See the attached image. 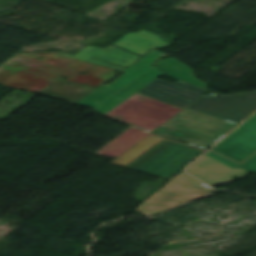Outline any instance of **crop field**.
<instances>
[{"label": "crop field", "instance_id": "10", "mask_svg": "<svg viewBox=\"0 0 256 256\" xmlns=\"http://www.w3.org/2000/svg\"><path fill=\"white\" fill-rule=\"evenodd\" d=\"M164 137H160L157 135H150L143 139L142 141L135 144L129 150H127L124 154H122L119 158H117L112 164H116L119 166L125 167L132 160L140 156L142 153L153 147L159 141H161Z\"/></svg>", "mask_w": 256, "mask_h": 256}, {"label": "crop field", "instance_id": "2", "mask_svg": "<svg viewBox=\"0 0 256 256\" xmlns=\"http://www.w3.org/2000/svg\"><path fill=\"white\" fill-rule=\"evenodd\" d=\"M164 55L152 50L138 62L126 68L125 74L117 78L109 85H103L84 99L79 104L96 108L95 111L105 115L142 88L157 79L163 73L157 70L151 63Z\"/></svg>", "mask_w": 256, "mask_h": 256}, {"label": "crop field", "instance_id": "1", "mask_svg": "<svg viewBox=\"0 0 256 256\" xmlns=\"http://www.w3.org/2000/svg\"><path fill=\"white\" fill-rule=\"evenodd\" d=\"M113 45L140 56L152 49L170 46L160 35L144 30L126 33ZM116 46L103 49L89 46L75 55L65 52L17 54L0 66V85L41 94L63 79L59 76H66L67 81L97 88L140 58Z\"/></svg>", "mask_w": 256, "mask_h": 256}, {"label": "crop field", "instance_id": "3", "mask_svg": "<svg viewBox=\"0 0 256 256\" xmlns=\"http://www.w3.org/2000/svg\"><path fill=\"white\" fill-rule=\"evenodd\" d=\"M237 125L185 109L154 134L208 150Z\"/></svg>", "mask_w": 256, "mask_h": 256}, {"label": "crop field", "instance_id": "12", "mask_svg": "<svg viewBox=\"0 0 256 256\" xmlns=\"http://www.w3.org/2000/svg\"><path fill=\"white\" fill-rule=\"evenodd\" d=\"M238 169L254 172L256 170V155H254L251 159H249L246 163H244Z\"/></svg>", "mask_w": 256, "mask_h": 256}, {"label": "crop field", "instance_id": "11", "mask_svg": "<svg viewBox=\"0 0 256 256\" xmlns=\"http://www.w3.org/2000/svg\"><path fill=\"white\" fill-rule=\"evenodd\" d=\"M205 155H207V156H209V157H211V158H213V159H215V160H217V161H219V162H221V163H223V164H225V165H227V166H229L233 169H235L238 166V164H236V163H234V162H232V161H230L226 158H223V157H221V156H219V155H217V154H215L211 151H209Z\"/></svg>", "mask_w": 256, "mask_h": 256}, {"label": "crop field", "instance_id": "13", "mask_svg": "<svg viewBox=\"0 0 256 256\" xmlns=\"http://www.w3.org/2000/svg\"><path fill=\"white\" fill-rule=\"evenodd\" d=\"M42 1H45V2H47V1H49V0H42Z\"/></svg>", "mask_w": 256, "mask_h": 256}, {"label": "crop field", "instance_id": "7", "mask_svg": "<svg viewBox=\"0 0 256 256\" xmlns=\"http://www.w3.org/2000/svg\"><path fill=\"white\" fill-rule=\"evenodd\" d=\"M206 92L207 90L200 89L181 81L172 84L157 79L139 93L151 96L184 109Z\"/></svg>", "mask_w": 256, "mask_h": 256}, {"label": "crop field", "instance_id": "6", "mask_svg": "<svg viewBox=\"0 0 256 256\" xmlns=\"http://www.w3.org/2000/svg\"><path fill=\"white\" fill-rule=\"evenodd\" d=\"M211 150L242 163L256 152V113Z\"/></svg>", "mask_w": 256, "mask_h": 256}, {"label": "crop field", "instance_id": "5", "mask_svg": "<svg viewBox=\"0 0 256 256\" xmlns=\"http://www.w3.org/2000/svg\"><path fill=\"white\" fill-rule=\"evenodd\" d=\"M186 109L240 124L256 110V92L221 96H202Z\"/></svg>", "mask_w": 256, "mask_h": 256}, {"label": "crop field", "instance_id": "4", "mask_svg": "<svg viewBox=\"0 0 256 256\" xmlns=\"http://www.w3.org/2000/svg\"><path fill=\"white\" fill-rule=\"evenodd\" d=\"M203 151L165 138L126 167L170 180Z\"/></svg>", "mask_w": 256, "mask_h": 256}, {"label": "crop field", "instance_id": "8", "mask_svg": "<svg viewBox=\"0 0 256 256\" xmlns=\"http://www.w3.org/2000/svg\"><path fill=\"white\" fill-rule=\"evenodd\" d=\"M93 90L94 88L61 80L43 93H45L44 96L75 104Z\"/></svg>", "mask_w": 256, "mask_h": 256}, {"label": "crop field", "instance_id": "9", "mask_svg": "<svg viewBox=\"0 0 256 256\" xmlns=\"http://www.w3.org/2000/svg\"><path fill=\"white\" fill-rule=\"evenodd\" d=\"M156 66L163 69L166 73L175 79L184 81L203 89H205L207 86L205 83L197 80V78L193 75L190 67L180 63L175 58L159 61L156 63Z\"/></svg>", "mask_w": 256, "mask_h": 256}]
</instances>
